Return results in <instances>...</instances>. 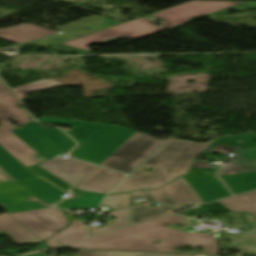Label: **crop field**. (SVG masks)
<instances>
[{
    "label": "crop field",
    "instance_id": "26",
    "mask_svg": "<svg viewBox=\"0 0 256 256\" xmlns=\"http://www.w3.org/2000/svg\"><path fill=\"white\" fill-rule=\"evenodd\" d=\"M57 85H60V84L58 82H56L55 80H52V81L42 80V81H38V82L28 84L25 86L13 88V90L17 94V96L21 100H23V98L21 96V94H23V93L35 91V90L46 89V88L54 87Z\"/></svg>",
    "mask_w": 256,
    "mask_h": 256
},
{
    "label": "crop field",
    "instance_id": "7",
    "mask_svg": "<svg viewBox=\"0 0 256 256\" xmlns=\"http://www.w3.org/2000/svg\"><path fill=\"white\" fill-rule=\"evenodd\" d=\"M242 140V143H237ZM255 132L234 137H222L215 140L203 152L234 153L235 162L232 165L222 167L219 175H231L256 171Z\"/></svg>",
    "mask_w": 256,
    "mask_h": 256
},
{
    "label": "crop field",
    "instance_id": "15",
    "mask_svg": "<svg viewBox=\"0 0 256 256\" xmlns=\"http://www.w3.org/2000/svg\"><path fill=\"white\" fill-rule=\"evenodd\" d=\"M38 178L0 146V183Z\"/></svg>",
    "mask_w": 256,
    "mask_h": 256
},
{
    "label": "crop field",
    "instance_id": "31",
    "mask_svg": "<svg viewBox=\"0 0 256 256\" xmlns=\"http://www.w3.org/2000/svg\"><path fill=\"white\" fill-rule=\"evenodd\" d=\"M106 251L80 250L76 256H104ZM25 256H47L41 252L29 254Z\"/></svg>",
    "mask_w": 256,
    "mask_h": 256
},
{
    "label": "crop field",
    "instance_id": "24",
    "mask_svg": "<svg viewBox=\"0 0 256 256\" xmlns=\"http://www.w3.org/2000/svg\"><path fill=\"white\" fill-rule=\"evenodd\" d=\"M72 221V224L66 229L62 230L54 238L61 244L71 242L80 238H84L83 223L84 221ZM78 224L79 226H76Z\"/></svg>",
    "mask_w": 256,
    "mask_h": 256
},
{
    "label": "crop field",
    "instance_id": "18",
    "mask_svg": "<svg viewBox=\"0 0 256 256\" xmlns=\"http://www.w3.org/2000/svg\"><path fill=\"white\" fill-rule=\"evenodd\" d=\"M220 178L234 194L256 188V172L232 176H220Z\"/></svg>",
    "mask_w": 256,
    "mask_h": 256
},
{
    "label": "crop field",
    "instance_id": "10",
    "mask_svg": "<svg viewBox=\"0 0 256 256\" xmlns=\"http://www.w3.org/2000/svg\"><path fill=\"white\" fill-rule=\"evenodd\" d=\"M11 216L43 241L69 223L59 209L13 214Z\"/></svg>",
    "mask_w": 256,
    "mask_h": 256
},
{
    "label": "crop field",
    "instance_id": "13",
    "mask_svg": "<svg viewBox=\"0 0 256 256\" xmlns=\"http://www.w3.org/2000/svg\"><path fill=\"white\" fill-rule=\"evenodd\" d=\"M204 203L230 196L216 176H183Z\"/></svg>",
    "mask_w": 256,
    "mask_h": 256
},
{
    "label": "crop field",
    "instance_id": "30",
    "mask_svg": "<svg viewBox=\"0 0 256 256\" xmlns=\"http://www.w3.org/2000/svg\"><path fill=\"white\" fill-rule=\"evenodd\" d=\"M105 256H201V255H178V254L107 251Z\"/></svg>",
    "mask_w": 256,
    "mask_h": 256
},
{
    "label": "crop field",
    "instance_id": "6",
    "mask_svg": "<svg viewBox=\"0 0 256 256\" xmlns=\"http://www.w3.org/2000/svg\"><path fill=\"white\" fill-rule=\"evenodd\" d=\"M18 104L15 97L0 82V145L28 167L40 162L33 156L36 152L10 132L14 128L7 121L13 118L21 125L31 121L23 110L16 108Z\"/></svg>",
    "mask_w": 256,
    "mask_h": 256
},
{
    "label": "crop field",
    "instance_id": "5",
    "mask_svg": "<svg viewBox=\"0 0 256 256\" xmlns=\"http://www.w3.org/2000/svg\"><path fill=\"white\" fill-rule=\"evenodd\" d=\"M64 194L42 179L0 184V204L9 213L52 207Z\"/></svg>",
    "mask_w": 256,
    "mask_h": 256
},
{
    "label": "crop field",
    "instance_id": "20",
    "mask_svg": "<svg viewBox=\"0 0 256 256\" xmlns=\"http://www.w3.org/2000/svg\"><path fill=\"white\" fill-rule=\"evenodd\" d=\"M104 197L105 195L102 194L80 192V194L75 199L67 201L60 207L82 210H89L91 207L98 208Z\"/></svg>",
    "mask_w": 256,
    "mask_h": 256
},
{
    "label": "crop field",
    "instance_id": "25",
    "mask_svg": "<svg viewBox=\"0 0 256 256\" xmlns=\"http://www.w3.org/2000/svg\"><path fill=\"white\" fill-rule=\"evenodd\" d=\"M28 169H30L31 171L35 172L36 175L38 177H42L43 179L47 180L48 182L52 183L53 185H55L56 187L60 188L63 191H66L70 194L73 195V197H75V195L79 192L73 188H71L70 186L66 185L65 183H63L62 181L58 180L57 178H55L54 176H52L51 174H49L48 172L44 171L43 169L37 167V165L28 167ZM72 197V198H73ZM70 199V198H68ZM65 200L61 201L60 203H58L56 205V207H58L61 203H63Z\"/></svg>",
    "mask_w": 256,
    "mask_h": 256
},
{
    "label": "crop field",
    "instance_id": "21",
    "mask_svg": "<svg viewBox=\"0 0 256 256\" xmlns=\"http://www.w3.org/2000/svg\"><path fill=\"white\" fill-rule=\"evenodd\" d=\"M120 24V22L113 21L107 17H99V16H90L88 18L82 19L80 21L71 23L69 25L63 26L60 29L66 32L77 30L84 26H89L98 30L104 29L106 27Z\"/></svg>",
    "mask_w": 256,
    "mask_h": 256
},
{
    "label": "crop field",
    "instance_id": "29",
    "mask_svg": "<svg viewBox=\"0 0 256 256\" xmlns=\"http://www.w3.org/2000/svg\"><path fill=\"white\" fill-rule=\"evenodd\" d=\"M130 193L107 196L104 204L113 207L114 209L128 207L129 205Z\"/></svg>",
    "mask_w": 256,
    "mask_h": 256
},
{
    "label": "crop field",
    "instance_id": "8",
    "mask_svg": "<svg viewBox=\"0 0 256 256\" xmlns=\"http://www.w3.org/2000/svg\"><path fill=\"white\" fill-rule=\"evenodd\" d=\"M14 131L47 160L67 153L75 142L58 129L45 130L35 121Z\"/></svg>",
    "mask_w": 256,
    "mask_h": 256
},
{
    "label": "crop field",
    "instance_id": "22",
    "mask_svg": "<svg viewBox=\"0 0 256 256\" xmlns=\"http://www.w3.org/2000/svg\"><path fill=\"white\" fill-rule=\"evenodd\" d=\"M111 216L115 217V220H113L112 223H110V221H105V226L103 227L87 226L88 236L128 225V208L114 210L112 211Z\"/></svg>",
    "mask_w": 256,
    "mask_h": 256
},
{
    "label": "crop field",
    "instance_id": "4",
    "mask_svg": "<svg viewBox=\"0 0 256 256\" xmlns=\"http://www.w3.org/2000/svg\"><path fill=\"white\" fill-rule=\"evenodd\" d=\"M42 123H58L73 126L72 130L64 129L79 144L70 156L100 165L116 149L126 142L135 131L106 124L88 123L67 119L41 117Z\"/></svg>",
    "mask_w": 256,
    "mask_h": 256
},
{
    "label": "crop field",
    "instance_id": "1",
    "mask_svg": "<svg viewBox=\"0 0 256 256\" xmlns=\"http://www.w3.org/2000/svg\"><path fill=\"white\" fill-rule=\"evenodd\" d=\"M186 221L184 217L170 215L66 246L78 249L187 253L173 252V248L197 245L204 246L206 250L204 254L215 255L218 249L216 244L218 238L213 237L214 233L181 232L166 227L169 224H185ZM154 240H160V243H151Z\"/></svg>",
    "mask_w": 256,
    "mask_h": 256
},
{
    "label": "crop field",
    "instance_id": "32",
    "mask_svg": "<svg viewBox=\"0 0 256 256\" xmlns=\"http://www.w3.org/2000/svg\"><path fill=\"white\" fill-rule=\"evenodd\" d=\"M53 47L65 49V50L72 51V52L79 53V54H89V53H91V52L83 51V50L76 49V48L69 47V46L62 45V44H59V45H56V46H53Z\"/></svg>",
    "mask_w": 256,
    "mask_h": 256
},
{
    "label": "crop field",
    "instance_id": "12",
    "mask_svg": "<svg viewBox=\"0 0 256 256\" xmlns=\"http://www.w3.org/2000/svg\"><path fill=\"white\" fill-rule=\"evenodd\" d=\"M62 157L63 156L46 161L40 166L74 187L97 168V166Z\"/></svg>",
    "mask_w": 256,
    "mask_h": 256
},
{
    "label": "crop field",
    "instance_id": "35",
    "mask_svg": "<svg viewBox=\"0 0 256 256\" xmlns=\"http://www.w3.org/2000/svg\"><path fill=\"white\" fill-rule=\"evenodd\" d=\"M33 43H36V42H33ZM36 44H39V43H36ZM39 45H42V44H39ZM43 46H45V45H43ZM46 47H48V46H46Z\"/></svg>",
    "mask_w": 256,
    "mask_h": 256
},
{
    "label": "crop field",
    "instance_id": "34",
    "mask_svg": "<svg viewBox=\"0 0 256 256\" xmlns=\"http://www.w3.org/2000/svg\"><path fill=\"white\" fill-rule=\"evenodd\" d=\"M48 247H49V246H47L46 244H42V245H40V246H38V247L32 249V250L29 251V252L36 251V250H40V249H44V248H48ZM26 253H28V252H26Z\"/></svg>",
    "mask_w": 256,
    "mask_h": 256
},
{
    "label": "crop field",
    "instance_id": "28",
    "mask_svg": "<svg viewBox=\"0 0 256 256\" xmlns=\"http://www.w3.org/2000/svg\"><path fill=\"white\" fill-rule=\"evenodd\" d=\"M94 31H96V30H93V31H90V32L79 30V31H76V32H73V33H70V34H67V35H56V36H53V37H50V38H47V39H44V40H40V41H37V42L52 46V45H55V44H59V43H62V42H65V41H68V40H71V39H74V38H77V37H80V36H83V35H86V34H89V33H92Z\"/></svg>",
    "mask_w": 256,
    "mask_h": 256
},
{
    "label": "crop field",
    "instance_id": "27",
    "mask_svg": "<svg viewBox=\"0 0 256 256\" xmlns=\"http://www.w3.org/2000/svg\"><path fill=\"white\" fill-rule=\"evenodd\" d=\"M220 166L214 167L205 164L204 161L194 160L188 174L193 175H216L217 170Z\"/></svg>",
    "mask_w": 256,
    "mask_h": 256
},
{
    "label": "crop field",
    "instance_id": "3",
    "mask_svg": "<svg viewBox=\"0 0 256 256\" xmlns=\"http://www.w3.org/2000/svg\"><path fill=\"white\" fill-rule=\"evenodd\" d=\"M213 141L195 144L190 141L169 139L110 194L158 189L171 179L186 174L193 159ZM146 166L153 168L155 172L142 171Z\"/></svg>",
    "mask_w": 256,
    "mask_h": 256
},
{
    "label": "crop field",
    "instance_id": "11",
    "mask_svg": "<svg viewBox=\"0 0 256 256\" xmlns=\"http://www.w3.org/2000/svg\"><path fill=\"white\" fill-rule=\"evenodd\" d=\"M131 196L149 197L154 201L172 207H180L190 203H203L182 176L160 190L131 193Z\"/></svg>",
    "mask_w": 256,
    "mask_h": 256
},
{
    "label": "crop field",
    "instance_id": "9",
    "mask_svg": "<svg viewBox=\"0 0 256 256\" xmlns=\"http://www.w3.org/2000/svg\"><path fill=\"white\" fill-rule=\"evenodd\" d=\"M162 142L163 140L136 132L101 165L129 173Z\"/></svg>",
    "mask_w": 256,
    "mask_h": 256
},
{
    "label": "crop field",
    "instance_id": "17",
    "mask_svg": "<svg viewBox=\"0 0 256 256\" xmlns=\"http://www.w3.org/2000/svg\"><path fill=\"white\" fill-rule=\"evenodd\" d=\"M0 235H7L19 245L42 242L9 214H0Z\"/></svg>",
    "mask_w": 256,
    "mask_h": 256
},
{
    "label": "crop field",
    "instance_id": "23",
    "mask_svg": "<svg viewBox=\"0 0 256 256\" xmlns=\"http://www.w3.org/2000/svg\"><path fill=\"white\" fill-rule=\"evenodd\" d=\"M168 208L169 207L164 205H160L152 208H145V207H142L141 205L134 206L131 209V224L165 215L167 213L162 212V210H165Z\"/></svg>",
    "mask_w": 256,
    "mask_h": 256
},
{
    "label": "crop field",
    "instance_id": "16",
    "mask_svg": "<svg viewBox=\"0 0 256 256\" xmlns=\"http://www.w3.org/2000/svg\"><path fill=\"white\" fill-rule=\"evenodd\" d=\"M55 33L56 31L41 28L33 24H20L18 27L0 29V38L20 44Z\"/></svg>",
    "mask_w": 256,
    "mask_h": 256
},
{
    "label": "crop field",
    "instance_id": "2",
    "mask_svg": "<svg viewBox=\"0 0 256 256\" xmlns=\"http://www.w3.org/2000/svg\"><path fill=\"white\" fill-rule=\"evenodd\" d=\"M256 8V2H224V1H193L175 8L153 14L156 18H164L167 23L156 28L149 23V19H139L110 29L98 31L62 44L91 51L88 45L97 42L105 44L120 38L132 40L160 32L178 25L191 22L200 15L212 16L227 14L228 9ZM93 52V51H91Z\"/></svg>",
    "mask_w": 256,
    "mask_h": 256
},
{
    "label": "crop field",
    "instance_id": "33",
    "mask_svg": "<svg viewBox=\"0 0 256 256\" xmlns=\"http://www.w3.org/2000/svg\"><path fill=\"white\" fill-rule=\"evenodd\" d=\"M47 245H49L50 247L52 246H56V245H60V243H58L56 240H54L53 238L50 239L49 241L45 242Z\"/></svg>",
    "mask_w": 256,
    "mask_h": 256
},
{
    "label": "crop field",
    "instance_id": "19",
    "mask_svg": "<svg viewBox=\"0 0 256 256\" xmlns=\"http://www.w3.org/2000/svg\"><path fill=\"white\" fill-rule=\"evenodd\" d=\"M219 202L233 212H249L256 217V191Z\"/></svg>",
    "mask_w": 256,
    "mask_h": 256
},
{
    "label": "crop field",
    "instance_id": "14",
    "mask_svg": "<svg viewBox=\"0 0 256 256\" xmlns=\"http://www.w3.org/2000/svg\"><path fill=\"white\" fill-rule=\"evenodd\" d=\"M123 178L124 175L122 173L98 167L75 188L107 194Z\"/></svg>",
    "mask_w": 256,
    "mask_h": 256
}]
</instances>
